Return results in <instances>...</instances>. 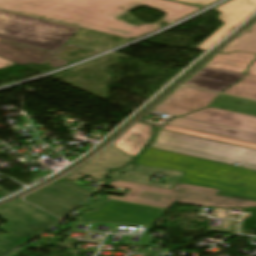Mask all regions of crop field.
I'll use <instances>...</instances> for the list:
<instances>
[{
    "label": "crop field",
    "instance_id": "crop-field-18",
    "mask_svg": "<svg viewBox=\"0 0 256 256\" xmlns=\"http://www.w3.org/2000/svg\"><path fill=\"white\" fill-rule=\"evenodd\" d=\"M211 107L256 116V102L220 94Z\"/></svg>",
    "mask_w": 256,
    "mask_h": 256
},
{
    "label": "crop field",
    "instance_id": "crop-field-5",
    "mask_svg": "<svg viewBox=\"0 0 256 256\" xmlns=\"http://www.w3.org/2000/svg\"><path fill=\"white\" fill-rule=\"evenodd\" d=\"M168 151L256 170V150L157 130L149 145Z\"/></svg>",
    "mask_w": 256,
    "mask_h": 256
},
{
    "label": "crop field",
    "instance_id": "crop-field-20",
    "mask_svg": "<svg viewBox=\"0 0 256 256\" xmlns=\"http://www.w3.org/2000/svg\"><path fill=\"white\" fill-rule=\"evenodd\" d=\"M162 130H167V131L181 133V134L190 135V136H195V137H199V138H204V139H209V140L219 141V142H223V143H228V144H233V145L256 149V144H254V143L240 141V140L231 139V138H226V137L217 136V135H212V134H208V133H203V132H199V131H195V130H191V129H187V128H183V127H179V126H174V125H170V124L165 125L162 128Z\"/></svg>",
    "mask_w": 256,
    "mask_h": 256
},
{
    "label": "crop field",
    "instance_id": "crop-field-27",
    "mask_svg": "<svg viewBox=\"0 0 256 256\" xmlns=\"http://www.w3.org/2000/svg\"><path fill=\"white\" fill-rule=\"evenodd\" d=\"M98 198H100V196L99 195H96V196H94V198H91V199H89V200H87L85 203H83L81 206H86V205H88L90 202H92V201H94V200H96V199H98Z\"/></svg>",
    "mask_w": 256,
    "mask_h": 256
},
{
    "label": "crop field",
    "instance_id": "crop-field-2",
    "mask_svg": "<svg viewBox=\"0 0 256 256\" xmlns=\"http://www.w3.org/2000/svg\"><path fill=\"white\" fill-rule=\"evenodd\" d=\"M137 165L185 172L180 183L219 189L216 195L256 202V172L147 148Z\"/></svg>",
    "mask_w": 256,
    "mask_h": 256
},
{
    "label": "crop field",
    "instance_id": "crop-field-25",
    "mask_svg": "<svg viewBox=\"0 0 256 256\" xmlns=\"http://www.w3.org/2000/svg\"><path fill=\"white\" fill-rule=\"evenodd\" d=\"M247 74L256 76V61L249 67Z\"/></svg>",
    "mask_w": 256,
    "mask_h": 256
},
{
    "label": "crop field",
    "instance_id": "crop-field-21",
    "mask_svg": "<svg viewBox=\"0 0 256 256\" xmlns=\"http://www.w3.org/2000/svg\"><path fill=\"white\" fill-rule=\"evenodd\" d=\"M224 93L256 100V77L245 75L239 83L233 85Z\"/></svg>",
    "mask_w": 256,
    "mask_h": 256
},
{
    "label": "crop field",
    "instance_id": "crop-field-4",
    "mask_svg": "<svg viewBox=\"0 0 256 256\" xmlns=\"http://www.w3.org/2000/svg\"><path fill=\"white\" fill-rule=\"evenodd\" d=\"M76 29L0 10V39L3 40L56 52Z\"/></svg>",
    "mask_w": 256,
    "mask_h": 256
},
{
    "label": "crop field",
    "instance_id": "crop-field-26",
    "mask_svg": "<svg viewBox=\"0 0 256 256\" xmlns=\"http://www.w3.org/2000/svg\"><path fill=\"white\" fill-rule=\"evenodd\" d=\"M10 65H14V64L0 58V68H4V67L10 66Z\"/></svg>",
    "mask_w": 256,
    "mask_h": 256
},
{
    "label": "crop field",
    "instance_id": "crop-field-23",
    "mask_svg": "<svg viewBox=\"0 0 256 256\" xmlns=\"http://www.w3.org/2000/svg\"><path fill=\"white\" fill-rule=\"evenodd\" d=\"M178 1H183V2H188V3H193V4L206 6V5L212 3L216 0H178Z\"/></svg>",
    "mask_w": 256,
    "mask_h": 256
},
{
    "label": "crop field",
    "instance_id": "crop-field-13",
    "mask_svg": "<svg viewBox=\"0 0 256 256\" xmlns=\"http://www.w3.org/2000/svg\"><path fill=\"white\" fill-rule=\"evenodd\" d=\"M244 74L228 72L204 67L186 84L221 92L233 83L239 81Z\"/></svg>",
    "mask_w": 256,
    "mask_h": 256
},
{
    "label": "crop field",
    "instance_id": "crop-field-19",
    "mask_svg": "<svg viewBox=\"0 0 256 256\" xmlns=\"http://www.w3.org/2000/svg\"><path fill=\"white\" fill-rule=\"evenodd\" d=\"M234 51L256 54V23L240 37L235 38L230 44L220 50L221 53Z\"/></svg>",
    "mask_w": 256,
    "mask_h": 256
},
{
    "label": "crop field",
    "instance_id": "crop-field-17",
    "mask_svg": "<svg viewBox=\"0 0 256 256\" xmlns=\"http://www.w3.org/2000/svg\"><path fill=\"white\" fill-rule=\"evenodd\" d=\"M256 55L234 52L232 54H218L216 58L207 64V67L245 73L249 63ZM253 62V61H252Z\"/></svg>",
    "mask_w": 256,
    "mask_h": 256
},
{
    "label": "crop field",
    "instance_id": "crop-field-28",
    "mask_svg": "<svg viewBox=\"0 0 256 256\" xmlns=\"http://www.w3.org/2000/svg\"><path fill=\"white\" fill-rule=\"evenodd\" d=\"M132 167H134V164H131V165H129V166H127V167H125V168H123V169L117 171V172H125V171L131 169Z\"/></svg>",
    "mask_w": 256,
    "mask_h": 256
},
{
    "label": "crop field",
    "instance_id": "crop-field-29",
    "mask_svg": "<svg viewBox=\"0 0 256 256\" xmlns=\"http://www.w3.org/2000/svg\"><path fill=\"white\" fill-rule=\"evenodd\" d=\"M118 175H119V174H117V173H113V174L109 175V176L106 177V178L114 179V178L117 177Z\"/></svg>",
    "mask_w": 256,
    "mask_h": 256
},
{
    "label": "crop field",
    "instance_id": "crop-field-6",
    "mask_svg": "<svg viewBox=\"0 0 256 256\" xmlns=\"http://www.w3.org/2000/svg\"><path fill=\"white\" fill-rule=\"evenodd\" d=\"M104 202L102 198L89 204L88 209H97ZM164 209L108 199L95 212H87L79 220L125 223L149 226L161 215Z\"/></svg>",
    "mask_w": 256,
    "mask_h": 256
},
{
    "label": "crop field",
    "instance_id": "crop-field-14",
    "mask_svg": "<svg viewBox=\"0 0 256 256\" xmlns=\"http://www.w3.org/2000/svg\"><path fill=\"white\" fill-rule=\"evenodd\" d=\"M151 133V126L138 123L112 146L134 158L147 143Z\"/></svg>",
    "mask_w": 256,
    "mask_h": 256
},
{
    "label": "crop field",
    "instance_id": "crop-field-12",
    "mask_svg": "<svg viewBox=\"0 0 256 256\" xmlns=\"http://www.w3.org/2000/svg\"><path fill=\"white\" fill-rule=\"evenodd\" d=\"M182 118L198 120L256 133V117L232 113L215 108H205Z\"/></svg>",
    "mask_w": 256,
    "mask_h": 256
},
{
    "label": "crop field",
    "instance_id": "crop-field-15",
    "mask_svg": "<svg viewBox=\"0 0 256 256\" xmlns=\"http://www.w3.org/2000/svg\"><path fill=\"white\" fill-rule=\"evenodd\" d=\"M169 123L212 133V134L222 135L226 137H231V138H236V139L256 143V134L238 131V130H234L226 127L213 125V124L192 121V120H187L182 118H177L175 120L170 121Z\"/></svg>",
    "mask_w": 256,
    "mask_h": 256
},
{
    "label": "crop field",
    "instance_id": "crop-field-3",
    "mask_svg": "<svg viewBox=\"0 0 256 256\" xmlns=\"http://www.w3.org/2000/svg\"><path fill=\"white\" fill-rule=\"evenodd\" d=\"M109 186L130 189L124 197L106 195V198L161 208L174 201L215 207H256V203L214 196L216 189L177 183L172 190L115 180Z\"/></svg>",
    "mask_w": 256,
    "mask_h": 256
},
{
    "label": "crop field",
    "instance_id": "crop-field-24",
    "mask_svg": "<svg viewBox=\"0 0 256 256\" xmlns=\"http://www.w3.org/2000/svg\"><path fill=\"white\" fill-rule=\"evenodd\" d=\"M167 121H168V120H163L162 122L159 121V122H157V123H154V122L142 120L141 122L148 123V124L153 125V126L161 127V126L164 125Z\"/></svg>",
    "mask_w": 256,
    "mask_h": 256
},
{
    "label": "crop field",
    "instance_id": "crop-field-10",
    "mask_svg": "<svg viewBox=\"0 0 256 256\" xmlns=\"http://www.w3.org/2000/svg\"><path fill=\"white\" fill-rule=\"evenodd\" d=\"M218 94L190 87H182L155 111L180 116L209 106Z\"/></svg>",
    "mask_w": 256,
    "mask_h": 256
},
{
    "label": "crop field",
    "instance_id": "crop-field-7",
    "mask_svg": "<svg viewBox=\"0 0 256 256\" xmlns=\"http://www.w3.org/2000/svg\"><path fill=\"white\" fill-rule=\"evenodd\" d=\"M93 192L64 178L25 197L41 208L63 217Z\"/></svg>",
    "mask_w": 256,
    "mask_h": 256
},
{
    "label": "crop field",
    "instance_id": "crop-field-9",
    "mask_svg": "<svg viewBox=\"0 0 256 256\" xmlns=\"http://www.w3.org/2000/svg\"><path fill=\"white\" fill-rule=\"evenodd\" d=\"M213 10L221 12L218 18L224 25L197 46L198 49L206 50L228 35L256 10V0H231Z\"/></svg>",
    "mask_w": 256,
    "mask_h": 256
},
{
    "label": "crop field",
    "instance_id": "crop-field-22",
    "mask_svg": "<svg viewBox=\"0 0 256 256\" xmlns=\"http://www.w3.org/2000/svg\"><path fill=\"white\" fill-rule=\"evenodd\" d=\"M20 206H22L25 210H27L31 215H33L36 219H38L41 223L44 225L48 226L51 223L55 222L58 220V218L26 203L20 200H15Z\"/></svg>",
    "mask_w": 256,
    "mask_h": 256
},
{
    "label": "crop field",
    "instance_id": "crop-field-11",
    "mask_svg": "<svg viewBox=\"0 0 256 256\" xmlns=\"http://www.w3.org/2000/svg\"><path fill=\"white\" fill-rule=\"evenodd\" d=\"M132 159L133 158L111 146L64 178L73 181L88 175L101 182L103 176L108 173L109 170H114Z\"/></svg>",
    "mask_w": 256,
    "mask_h": 256
},
{
    "label": "crop field",
    "instance_id": "crop-field-8",
    "mask_svg": "<svg viewBox=\"0 0 256 256\" xmlns=\"http://www.w3.org/2000/svg\"><path fill=\"white\" fill-rule=\"evenodd\" d=\"M0 217L7 222L0 226V230L6 233L0 236V256L45 227L14 201L0 206Z\"/></svg>",
    "mask_w": 256,
    "mask_h": 256
},
{
    "label": "crop field",
    "instance_id": "crop-field-1",
    "mask_svg": "<svg viewBox=\"0 0 256 256\" xmlns=\"http://www.w3.org/2000/svg\"><path fill=\"white\" fill-rule=\"evenodd\" d=\"M135 5L165 12L162 20L169 24L200 9L167 0H0V9L6 11L126 38L140 37L159 29L156 23L134 26L115 20Z\"/></svg>",
    "mask_w": 256,
    "mask_h": 256
},
{
    "label": "crop field",
    "instance_id": "crop-field-16",
    "mask_svg": "<svg viewBox=\"0 0 256 256\" xmlns=\"http://www.w3.org/2000/svg\"><path fill=\"white\" fill-rule=\"evenodd\" d=\"M157 172L165 174L167 180L165 181L164 184L152 182V181H149L148 179L132 177L127 175H124L117 179L172 189L174 185L178 182V180L181 178V176L184 174L179 172L165 171V170L145 168V167H139V166H136L134 170L130 171L127 174L150 178Z\"/></svg>",
    "mask_w": 256,
    "mask_h": 256
}]
</instances>
